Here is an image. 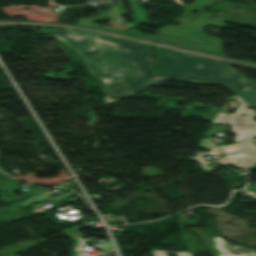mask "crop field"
<instances>
[{
	"mask_svg": "<svg viewBox=\"0 0 256 256\" xmlns=\"http://www.w3.org/2000/svg\"><path fill=\"white\" fill-rule=\"evenodd\" d=\"M178 79L195 83H223L237 93L256 87V82L235 72L229 65L211 60Z\"/></svg>",
	"mask_w": 256,
	"mask_h": 256,
	"instance_id": "34b2d1b8",
	"label": "crop field"
},
{
	"mask_svg": "<svg viewBox=\"0 0 256 256\" xmlns=\"http://www.w3.org/2000/svg\"><path fill=\"white\" fill-rule=\"evenodd\" d=\"M103 73L104 83H115L123 80V75L126 73V70L116 65H109L105 67Z\"/></svg>",
	"mask_w": 256,
	"mask_h": 256,
	"instance_id": "d8731c3e",
	"label": "crop field"
},
{
	"mask_svg": "<svg viewBox=\"0 0 256 256\" xmlns=\"http://www.w3.org/2000/svg\"><path fill=\"white\" fill-rule=\"evenodd\" d=\"M182 52H171L155 49V68L169 78L176 79L207 60L193 57L189 54L183 56Z\"/></svg>",
	"mask_w": 256,
	"mask_h": 256,
	"instance_id": "412701ff",
	"label": "crop field"
},
{
	"mask_svg": "<svg viewBox=\"0 0 256 256\" xmlns=\"http://www.w3.org/2000/svg\"><path fill=\"white\" fill-rule=\"evenodd\" d=\"M225 157L217 160L220 164L226 166L228 164L235 165L234 167L247 169L251 161L256 156V149L251 143L227 144L218 146ZM232 157H236L235 159Z\"/></svg>",
	"mask_w": 256,
	"mask_h": 256,
	"instance_id": "f4fd0767",
	"label": "crop field"
},
{
	"mask_svg": "<svg viewBox=\"0 0 256 256\" xmlns=\"http://www.w3.org/2000/svg\"><path fill=\"white\" fill-rule=\"evenodd\" d=\"M246 190H248L249 194L256 196V184H248Z\"/></svg>",
	"mask_w": 256,
	"mask_h": 256,
	"instance_id": "5142ce71",
	"label": "crop field"
},
{
	"mask_svg": "<svg viewBox=\"0 0 256 256\" xmlns=\"http://www.w3.org/2000/svg\"><path fill=\"white\" fill-rule=\"evenodd\" d=\"M209 16L207 12L181 16L177 18L181 22L180 27L167 26L159 30L158 40L222 54L219 39L200 33L205 25L223 26V20L208 18ZM191 19L194 20L191 22ZM189 26L192 27L188 28Z\"/></svg>",
	"mask_w": 256,
	"mask_h": 256,
	"instance_id": "ac0d7876",
	"label": "crop field"
},
{
	"mask_svg": "<svg viewBox=\"0 0 256 256\" xmlns=\"http://www.w3.org/2000/svg\"><path fill=\"white\" fill-rule=\"evenodd\" d=\"M225 115L223 113H217L216 117L214 118L213 122L224 124Z\"/></svg>",
	"mask_w": 256,
	"mask_h": 256,
	"instance_id": "22f410ed",
	"label": "crop field"
},
{
	"mask_svg": "<svg viewBox=\"0 0 256 256\" xmlns=\"http://www.w3.org/2000/svg\"><path fill=\"white\" fill-rule=\"evenodd\" d=\"M50 31L55 39L72 48L79 55L92 76L102 78V69L109 64H116L127 70L124 75L125 82L104 84V89L114 96L165 79L152 70L151 47L70 29H50ZM89 40L108 42L116 50L89 56L86 50Z\"/></svg>",
	"mask_w": 256,
	"mask_h": 256,
	"instance_id": "8a807250",
	"label": "crop field"
},
{
	"mask_svg": "<svg viewBox=\"0 0 256 256\" xmlns=\"http://www.w3.org/2000/svg\"><path fill=\"white\" fill-rule=\"evenodd\" d=\"M229 98L240 102V103L237 105L238 108L246 109L245 107L250 106V105H248L247 103H245L241 98H239V97L236 96V95H234V96H232V97H229ZM246 110H247V109H246Z\"/></svg>",
	"mask_w": 256,
	"mask_h": 256,
	"instance_id": "d1516ede",
	"label": "crop field"
},
{
	"mask_svg": "<svg viewBox=\"0 0 256 256\" xmlns=\"http://www.w3.org/2000/svg\"><path fill=\"white\" fill-rule=\"evenodd\" d=\"M90 42V41H89ZM87 49L89 52H100V51H108V50H115L114 47L108 43L104 42H94V44H89Z\"/></svg>",
	"mask_w": 256,
	"mask_h": 256,
	"instance_id": "5a996713",
	"label": "crop field"
},
{
	"mask_svg": "<svg viewBox=\"0 0 256 256\" xmlns=\"http://www.w3.org/2000/svg\"><path fill=\"white\" fill-rule=\"evenodd\" d=\"M240 113L247 114V117L238 116ZM256 112L238 109L234 115L229 114L228 124L232 127L231 131L237 133L238 141H256L251 139L256 135V121H253V116Z\"/></svg>",
	"mask_w": 256,
	"mask_h": 256,
	"instance_id": "dd49c442",
	"label": "crop field"
},
{
	"mask_svg": "<svg viewBox=\"0 0 256 256\" xmlns=\"http://www.w3.org/2000/svg\"><path fill=\"white\" fill-rule=\"evenodd\" d=\"M240 95L245 97L252 105L254 106L256 105V90H249V91L240 93Z\"/></svg>",
	"mask_w": 256,
	"mask_h": 256,
	"instance_id": "3316defc",
	"label": "crop field"
},
{
	"mask_svg": "<svg viewBox=\"0 0 256 256\" xmlns=\"http://www.w3.org/2000/svg\"><path fill=\"white\" fill-rule=\"evenodd\" d=\"M212 1H213V0H196L192 5L206 7V6L209 5Z\"/></svg>",
	"mask_w": 256,
	"mask_h": 256,
	"instance_id": "cbeb9de0",
	"label": "crop field"
},
{
	"mask_svg": "<svg viewBox=\"0 0 256 256\" xmlns=\"http://www.w3.org/2000/svg\"><path fill=\"white\" fill-rule=\"evenodd\" d=\"M183 8H185L186 14H190L191 10L201 11L202 9H204L203 7H196V6H185Z\"/></svg>",
	"mask_w": 256,
	"mask_h": 256,
	"instance_id": "d9b57169",
	"label": "crop field"
},
{
	"mask_svg": "<svg viewBox=\"0 0 256 256\" xmlns=\"http://www.w3.org/2000/svg\"><path fill=\"white\" fill-rule=\"evenodd\" d=\"M152 256H165L166 253H174L177 256H190L187 252H167V251H160V250H150Z\"/></svg>",
	"mask_w": 256,
	"mask_h": 256,
	"instance_id": "28ad6ade",
	"label": "crop field"
},
{
	"mask_svg": "<svg viewBox=\"0 0 256 256\" xmlns=\"http://www.w3.org/2000/svg\"><path fill=\"white\" fill-rule=\"evenodd\" d=\"M215 248L219 251V256H256V251L245 249L239 245L226 242L219 236L212 237Z\"/></svg>",
	"mask_w": 256,
	"mask_h": 256,
	"instance_id": "e52e79f7",
	"label": "crop field"
}]
</instances>
